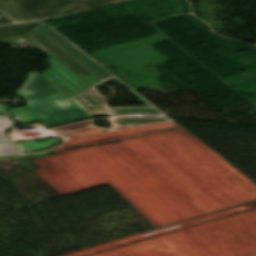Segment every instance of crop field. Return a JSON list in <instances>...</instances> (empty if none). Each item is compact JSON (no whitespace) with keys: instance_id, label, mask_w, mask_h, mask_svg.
I'll return each instance as SVG.
<instances>
[{"instance_id":"crop-field-5","label":"crop field","mask_w":256,"mask_h":256,"mask_svg":"<svg viewBox=\"0 0 256 256\" xmlns=\"http://www.w3.org/2000/svg\"><path fill=\"white\" fill-rule=\"evenodd\" d=\"M69 1L71 2V4L56 16L78 12V11H82V10H86V9H90V8H94V7H98V6H102V5H106V4H110V3H114L122 0H69Z\"/></svg>"},{"instance_id":"crop-field-7","label":"crop field","mask_w":256,"mask_h":256,"mask_svg":"<svg viewBox=\"0 0 256 256\" xmlns=\"http://www.w3.org/2000/svg\"><path fill=\"white\" fill-rule=\"evenodd\" d=\"M41 23H29L0 27V42L20 33H27Z\"/></svg>"},{"instance_id":"crop-field-3","label":"crop field","mask_w":256,"mask_h":256,"mask_svg":"<svg viewBox=\"0 0 256 256\" xmlns=\"http://www.w3.org/2000/svg\"><path fill=\"white\" fill-rule=\"evenodd\" d=\"M48 63L50 68L42 73L52 84L61 90L69 98L88 89L91 86L81 79L67 66L48 53Z\"/></svg>"},{"instance_id":"crop-field-1","label":"crop field","mask_w":256,"mask_h":256,"mask_svg":"<svg viewBox=\"0 0 256 256\" xmlns=\"http://www.w3.org/2000/svg\"><path fill=\"white\" fill-rule=\"evenodd\" d=\"M14 94L23 98L26 106L9 111L14 121L23 124L41 121L49 128L90 117L36 70Z\"/></svg>"},{"instance_id":"crop-field-8","label":"crop field","mask_w":256,"mask_h":256,"mask_svg":"<svg viewBox=\"0 0 256 256\" xmlns=\"http://www.w3.org/2000/svg\"><path fill=\"white\" fill-rule=\"evenodd\" d=\"M24 35H25V34L15 35V36H13V37H11V38H9V39H7V40L1 42V43H3V44H5V45L8 46V45L12 44L14 41H16L17 39H19L20 37H22V36H24Z\"/></svg>"},{"instance_id":"crop-field-4","label":"crop field","mask_w":256,"mask_h":256,"mask_svg":"<svg viewBox=\"0 0 256 256\" xmlns=\"http://www.w3.org/2000/svg\"><path fill=\"white\" fill-rule=\"evenodd\" d=\"M12 123L8 115H0V156L18 154V151L5 135Z\"/></svg>"},{"instance_id":"crop-field-9","label":"crop field","mask_w":256,"mask_h":256,"mask_svg":"<svg viewBox=\"0 0 256 256\" xmlns=\"http://www.w3.org/2000/svg\"><path fill=\"white\" fill-rule=\"evenodd\" d=\"M7 24H13V22L8 18L0 19V26L7 25Z\"/></svg>"},{"instance_id":"crop-field-2","label":"crop field","mask_w":256,"mask_h":256,"mask_svg":"<svg viewBox=\"0 0 256 256\" xmlns=\"http://www.w3.org/2000/svg\"><path fill=\"white\" fill-rule=\"evenodd\" d=\"M67 4V0H0V12L26 22L51 17Z\"/></svg>"},{"instance_id":"crop-field-10","label":"crop field","mask_w":256,"mask_h":256,"mask_svg":"<svg viewBox=\"0 0 256 256\" xmlns=\"http://www.w3.org/2000/svg\"><path fill=\"white\" fill-rule=\"evenodd\" d=\"M0 113H6V111L2 105H0Z\"/></svg>"},{"instance_id":"crop-field-6","label":"crop field","mask_w":256,"mask_h":256,"mask_svg":"<svg viewBox=\"0 0 256 256\" xmlns=\"http://www.w3.org/2000/svg\"><path fill=\"white\" fill-rule=\"evenodd\" d=\"M59 142H61V140H59L58 138H51V139H40V140H34V141H28V142H20L15 144L22 151V153H25V152H31V151H37V150H44Z\"/></svg>"}]
</instances>
